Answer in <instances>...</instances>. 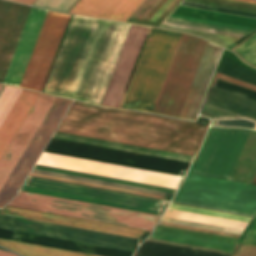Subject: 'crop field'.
Instances as JSON below:
<instances>
[{
    "label": "crop field",
    "mask_w": 256,
    "mask_h": 256,
    "mask_svg": "<svg viewBox=\"0 0 256 256\" xmlns=\"http://www.w3.org/2000/svg\"><path fill=\"white\" fill-rule=\"evenodd\" d=\"M129 28L73 18L44 91L100 103Z\"/></svg>",
    "instance_id": "crop-field-1"
},
{
    "label": "crop field",
    "mask_w": 256,
    "mask_h": 256,
    "mask_svg": "<svg viewBox=\"0 0 256 256\" xmlns=\"http://www.w3.org/2000/svg\"><path fill=\"white\" fill-rule=\"evenodd\" d=\"M22 191L161 215L167 203L158 200L28 177ZM7 205L151 231L158 215L22 192Z\"/></svg>",
    "instance_id": "crop-field-2"
},
{
    "label": "crop field",
    "mask_w": 256,
    "mask_h": 256,
    "mask_svg": "<svg viewBox=\"0 0 256 256\" xmlns=\"http://www.w3.org/2000/svg\"><path fill=\"white\" fill-rule=\"evenodd\" d=\"M57 131L194 156L206 127L73 103Z\"/></svg>",
    "instance_id": "crop-field-3"
},
{
    "label": "crop field",
    "mask_w": 256,
    "mask_h": 256,
    "mask_svg": "<svg viewBox=\"0 0 256 256\" xmlns=\"http://www.w3.org/2000/svg\"><path fill=\"white\" fill-rule=\"evenodd\" d=\"M47 12L31 9L3 83L20 86ZM70 16L48 12L20 87L42 91Z\"/></svg>",
    "instance_id": "crop-field-4"
},
{
    "label": "crop field",
    "mask_w": 256,
    "mask_h": 256,
    "mask_svg": "<svg viewBox=\"0 0 256 256\" xmlns=\"http://www.w3.org/2000/svg\"><path fill=\"white\" fill-rule=\"evenodd\" d=\"M251 130L210 128L189 174L227 180ZM256 175V132L251 131L228 180L251 184Z\"/></svg>",
    "instance_id": "crop-field-5"
},
{
    "label": "crop field",
    "mask_w": 256,
    "mask_h": 256,
    "mask_svg": "<svg viewBox=\"0 0 256 256\" xmlns=\"http://www.w3.org/2000/svg\"><path fill=\"white\" fill-rule=\"evenodd\" d=\"M181 34L151 29L121 108L152 112Z\"/></svg>",
    "instance_id": "crop-field-6"
},
{
    "label": "crop field",
    "mask_w": 256,
    "mask_h": 256,
    "mask_svg": "<svg viewBox=\"0 0 256 256\" xmlns=\"http://www.w3.org/2000/svg\"><path fill=\"white\" fill-rule=\"evenodd\" d=\"M182 1L256 15V5H252V4H256V0H236V1H241V2L252 3V4L241 3V2L230 1V0H182ZM179 7L174 9L170 14L256 29V22H252L255 19L252 20V21H247L250 18L247 19V20H242L245 17L242 18V19H237L239 16L237 18H231L234 15L231 16V17H226L229 14L226 15V16H221L222 14L221 15H216L218 12L216 14H211L213 11L211 13H205L208 10L205 11V12H200L202 9L200 11H195L197 8L195 10H190L192 7L190 9H184L186 6L184 8H179ZM172 15H169V18L185 20V21H190V22H195V23H200V24H205V25H211V26H216V27H221V28H226V29H231V30H237V31H242V32H247V33H250V32L253 31L252 29L240 28V27H235V26L223 25V24H218V23L206 22V21L189 19V18L172 16ZM169 18H166L165 21L166 22L177 23V24H182V25H188V26H193V27L209 29V30H215V31H220V32H226V33H231V34H236V35H242V36L247 35V33L231 31V30H226V29H221V28H216V27H211V26H205V25H200V24H195V23H190V22H185V21H179V20H174V19H169ZM166 22L161 23V25L162 26L179 28V29L191 30V31H196V32H202V33H207V34L219 35V36H224V37L236 38V39L242 38V36H236V35L220 33V32H215V31H209V30L193 28V27H188V26H182V25L166 23ZM162 26H159V27L160 28H165V29L185 31V30H179V29L162 27ZM191 31H185V32H190V33H193L195 35L206 38V39H208V40H210V41H212V42H214V43H216V44H218V45H220L224 48L228 47L229 45H231L232 43L237 41L236 39H230V38H224V37H219V36L207 35V34H202V33L191 32Z\"/></svg>",
    "instance_id": "crop-field-7"
},
{
    "label": "crop field",
    "mask_w": 256,
    "mask_h": 256,
    "mask_svg": "<svg viewBox=\"0 0 256 256\" xmlns=\"http://www.w3.org/2000/svg\"><path fill=\"white\" fill-rule=\"evenodd\" d=\"M173 201L254 215L256 186L186 175Z\"/></svg>",
    "instance_id": "crop-field-8"
},
{
    "label": "crop field",
    "mask_w": 256,
    "mask_h": 256,
    "mask_svg": "<svg viewBox=\"0 0 256 256\" xmlns=\"http://www.w3.org/2000/svg\"><path fill=\"white\" fill-rule=\"evenodd\" d=\"M206 43L182 34L152 113L178 117Z\"/></svg>",
    "instance_id": "crop-field-9"
},
{
    "label": "crop field",
    "mask_w": 256,
    "mask_h": 256,
    "mask_svg": "<svg viewBox=\"0 0 256 256\" xmlns=\"http://www.w3.org/2000/svg\"><path fill=\"white\" fill-rule=\"evenodd\" d=\"M0 229L133 252L138 241L0 215Z\"/></svg>",
    "instance_id": "crop-field-10"
},
{
    "label": "crop field",
    "mask_w": 256,
    "mask_h": 256,
    "mask_svg": "<svg viewBox=\"0 0 256 256\" xmlns=\"http://www.w3.org/2000/svg\"><path fill=\"white\" fill-rule=\"evenodd\" d=\"M37 164L173 189H176L178 183L181 180L180 177L168 176L45 153L41 155Z\"/></svg>",
    "instance_id": "crop-field-11"
},
{
    "label": "crop field",
    "mask_w": 256,
    "mask_h": 256,
    "mask_svg": "<svg viewBox=\"0 0 256 256\" xmlns=\"http://www.w3.org/2000/svg\"><path fill=\"white\" fill-rule=\"evenodd\" d=\"M72 101L57 98L39 130L0 192V208L18 192L45 144L54 132Z\"/></svg>",
    "instance_id": "crop-field-12"
},
{
    "label": "crop field",
    "mask_w": 256,
    "mask_h": 256,
    "mask_svg": "<svg viewBox=\"0 0 256 256\" xmlns=\"http://www.w3.org/2000/svg\"><path fill=\"white\" fill-rule=\"evenodd\" d=\"M158 225L179 228V229L192 230V231H198V232H204V233H210V234L229 236V237H235V238L240 237L238 235L214 232V231H209V230L191 228V227L162 223V222H160ZM161 226H157L155 231L152 233V236L149 238L170 241V242H176V243H182V244H188V245L199 246V247H205V248H211V249H217V250H223V251H229V252L232 251L233 247H235V245L238 241V239H235V238L210 235V234H204V233H198V232H192V231H186V230H179V229H173V228H167V227H161ZM152 239H147V240L230 255L229 252L193 247V246H188V245H182V244H176V243H170V242H164V241H158V240H152Z\"/></svg>",
    "instance_id": "crop-field-13"
},
{
    "label": "crop field",
    "mask_w": 256,
    "mask_h": 256,
    "mask_svg": "<svg viewBox=\"0 0 256 256\" xmlns=\"http://www.w3.org/2000/svg\"><path fill=\"white\" fill-rule=\"evenodd\" d=\"M149 28L132 25L101 106L118 108Z\"/></svg>",
    "instance_id": "crop-field-14"
},
{
    "label": "crop field",
    "mask_w": 256,
    "mask_h": 256,
    "mask_svg": "<svg viewBox=\"0 0 256 256\" xmlns=\"http://www.w3.org/2000/svg\"><path fill=\"white\" fill-rule=\"evenodd\" d=\"M56 98L40 94L16 136L0 160V190L38 130Z\"/></svg>",
    "instance_id": "crop-field-15"
},
{
    "label": "crop field",
    "mask_w": 256,
    "mask_h": 256,
    "mask_svg": "<svg viewBox=\"0 0 256 256\" xmlns=\"http://www.w3.org/2000/svg\"><path fill=\"white\" fill-rule=\"evenodd\" d=\"M171 204L179 205V206H185V207L198 208V209L211 210V211H217V212L230 213V214H237V213H232V212L220 211V210H215V209H209V208L186 205V204H180V203H174V202H171ZM173 205H169L168 209L169 210H175V211H181V212H187V213H193V214H199V215H205V216H210V217H216V218L246 222V223H249V221L251 220V218H249V217H252V216L243 215V214H237V215H243V216H249V217L230 215V214H224V213H217V212L198 210V209H192V208H185V207H179V206H173ZM169 210H166V212L164 214L165 217L189 220V221H194V222L212 224V225L235 228V229H241V230H244V228L247 225L246 223H240V222L210 218V217H205V216H199V215H193V214H187V213H181V212H175V211H169ZM165 217H162V219H161L162 222L186 225V226H191V227L209 229V230L232 233V234H238V235H241V233H242L241 230L217 227V226H212V225L194 223V222L171 219V218H165Z\"/></svg>",
    "instance_id": "crop-field-16"
},
{
    "label": "crop field",
    "mask_w": 256,
    "mask_h": 256,
    "mask_svg": "<svg viewBox=\"0 0 256 256\" xmlns=\"http://www.w3.org/2000/svg\"><path fill=\"white\" fill-rule=\"evenodd\" d=\"M31 8L0 0V83Z\"/></svg>",
    "instance_id": "crop-field-17"
},
{
    "label": "crop field",
    "mask_w": 256,
    "mask_h": 256,
    "mask_svg": "<svg viewBox=\"0 0 256 256\" xmlns=\"http://www.w3.org/2000/svg\"><path fill=\"white\" fill-rule=\"evenodd\" d=\"M222 48L207 43L178 118L194 121Z\"/></svg>",
    "instance_id": "crop-field-18"
},
{
    "label": "crop field",
    "mask_w": 256,
    "mask_h": 256,
    "mask_svg": "<svg viewBox=\"0 0 256 256\" xmlns=\"http://www.w3.org/2000/svg\"><path fill=\"white\" fill-rule=\"evenodd\" d=\"M2 215L14 216L19 218H25L30 220L42 221L47 223H53L58 225L70 226L75 228H81L86 230L98 231L103 233H109L114 235L126 236L131 238H140V230L122 228L117 226L99 224L94 222L76 220L71 218L53 216L48 214L30 212L25 210L13 209L4 207L1 211Z\"/></svg>",
    "instance_id": "crop-field-19"
},
{
    "label": "crop field",
    "mask_w": 256,
    "mask_h": 256,
    "mask_svg": "<svg viewBox=\"0 0 256 256\" xmlns=\"http://www.w3.org/2000/svg\"><path fill=\"white\" fill-rule=\"evenodd\" d=\"M144 0H80L70 13L126 22Z\"/></svg>",
    "instance_id": "crop-field-20"
},
{
    "label": "crop field",
    "mask_w": 256,
    "mask_h": 256,
    "mask_svg": "<svg viewBox=\"0 0 256 256\" xmlns=\"http://www.w3.org/2000/svg\"><path fill=\"white\" fill-rule=\"evenodd\" d=\"M39 94L23 90L0 128V159L18 131Z\"/></svg>",
    "instance_id": "crop-field-21"
},
{
    "label": "crop field",
    "mask_w": 256,
    "mask_h": 256,
    "mask_svg": "<svg viewBox=\"0 0 256 256\" xmlns=\"http://www.w3.org/2000/svg\"><path fill=\"white\" fill-rule=\"evenodd\" d=\"M207 103L256 119V101L211 87Z\"/></svg>",
    "instance_id": "crop-field-22"
},
{
    "label": "crop field",
    "mask_w": 256,
    "mask_h": 256,
    "mask_svg": "<svg viewBox=\"0 0 256 256\" xmlns=\"http://www.w3.org/2000/svg\"><path fill=\"white\" fill-rule=\"evenodd\" d=\"M53 138L60 139V140H66V141H72V142H78V143H83V144L107 147V148H112V149L130 151V152H135V153L159 156V157H164V158L188 161V162H190L192 159L191 156H185V155L163 152V151H158V150H152V149H147V148H141V147H136V146L124 145V144H119V143H113V142L102 141V140L91 139V138H86V137L58 133V132H55Z\"/></svg>",
    "instance_id": "crop-field-23"
},
{
    "label": "crop field",
    "mask_w": 256,
    "mask_h": 256,
    "mask_svg": "<svg viewBox=\"0 0 256 256\" xmlns=\"http://www.w3.org/2000/svg\"><path fill=\"white\" fill-rule=\"evenodd\" d=\"M134 256H227L145 241Z\"/></svg>",
    "instance_id": "crop-field-24"
},
{
    "label": "crop field",
    "mask_w": 256,
    "mask_h": 256,
    "mask_svg": "<svg viewBox=\"0 0 256 256\" xmlns=\"http://www.w3.org/2000/svg\"><path fill=\"white\" fill-rule=\"evenodd\" d=\"M151 0H145L142 5L135 11V13L130 17L132 19H136L138 15L143 11V9L149 4ZM160 0H152L150 4L144 9V11L139 15L137 19L143 20L146 15L154 8V6L159 2ZM167 0H161L155 8L147 15V17L144 20H150L152 16L160 9V7L166 2ZM173 0H168L161 9L153 16V18L150 21H155L158 16L166 9V7L172 2ZM180 0H174L167 9L159 16V18L156 20L158 22H161L165 16L175 7V5ZM167 17V16H166ZM129 19L127 22L129 23H136V24H143V25H150V26H157L159 23L156 22H146V21H139V20H132Z\"/></svg>",
    "instance_id": "crop-field-25"
},
{
    "label": "crop field",
    "mask_w": 256,
    "mask_h": 256,
    "mask_svg": "<svg viewBox=\"0 0 256 256\" xmlns=\"http://www.w3.org/2000/svg\"><path fill=\"white\" fill-rule=\"evenodd\" d=\"M0 245L22 256H92L4 239H0Z\"/></svg>",
    "instance_id": "crop-field-26"
},
{
    "label": "crop field",
    "mask_w": 256,
    "mask_h": 256,
    "mask_svg": "<svg viewBox=\"0 0 256 256\" xmlns=\"http://www.w3.org/2000/svg\"><path fill=\"white\" fill-rule=\"evenodd\" d=\"M34 169L35 170H41V171H47V172H53V173H59V174H65V175H70V176L94 179V180H99V181H105V182L129 185V186H134V187H140V188L164 191V192H167V193H170V194H173L174 191H175L173 189L161 188V187H156V186H150V185H145V184L133 183V182H128V181H122V180H117V179L105 178V177H100V176H94V175H89V174L77 173V172L66 171V170L55 169V168H49V167L38 166V165H35Z\"/></svg>",
    "instance_id": "crop-field-27"
},
{
    "label": "crop field",
    "mask_w": 256,
    "mask_h": 256,
    "mask_svg": "<svg viewBox=\"0 0 256 256\" xmlns=\"http://www.w3.org/2000/svg\"><path fill=\"white\" fill-rule=\"evenodd\" d=\"M22 90L6 86L0 95V126L7 117Z\"/></svg>",
    "instance_id": "crop-field-28"
},
{
    "label": "crop field",
    "mask_w": 256,
    "mask_h": 256,
    "mask_svg": "<svg viewBox=\"0 0 256 256\" xmlns=\"http://www.w3.org/2000/svg\"><path fill=\"white\" fill-rule=\"evenodd\" d=\"M233 50L248 63L256 66V33L236 46Z\"/></svg>",
    "instance_id": "crop-field-29"
},
{
    "label": "crop field",
    "mask_w": 256,
    "mask_h": 256,
    "mask_svg": "<svg viewBox=\"0 0 256 256\" xmlns=\"http://www.w3.org/2000/svg\"><path fill=\"white\" fill-rule=\"evenodd\" d=\"M32 173H33V174H39V175H45V176L56 177V178L74 180V181H79V182L91 183V184H96V185L114 187V188H119V189L137 191V192H142V193L160 195V196H163V197H164V195H165L164 193H159V192L147 191V190H142V189H136V188H131V187L119 186V185H114V184H108V183H103V182L91 181V180H86V179H80V178L69 177V176H63V175L52 174V173L41 172V171H35V170H33Z\"/></svg>",
    "instance_id": "crop-field-30"
},
{
    "label": "crop field",
    "mask_w": 256,
    "mask_h": 256,
    "mask_svg": "<svg viewBox=\"0 0 256 256\" xmlns=\"http://www.w3.org/2000/svg\"><path fill=\"white\" fill-rule=\"evenodd\" d=\"M239 243L256 246V219L247 230L244 231Z\"/></svg>",
    "instance_id": "crop-field-31"
},
{
    "label": "crop field",
    "mask_w": 256,
    "mask_h": 256,
    "mask_svg": "<svg viewBox=\"0 0 256 256\" xmlns=\"http://www.w3.org/2000/svg\"><path fill=\"white\" fill-rule=\"evenodd\" d=\"M230 256H256V247L237 244Z\"/></svg>",
    "instance_id": "crop-field-32"
},
{
    "label": "crop field",
    "mask_w": 256,
    "mask_h": 256,
    "mask_svg": "<svg viewBox=\"0 0 256 256\" xmlns=\"http://www.w3.org/2000/svg\"><path fill=\"white\" fill-rule=\"evenodd\" d=\"M216 78L218 79H221V80H224V81H227L229 83H232V84H235V85H238V86H241V87H244V88H247L249 90H252V91H255L256 92V87L255 86H252L250 84H247V83H244V82H241V81H238V80H235V79H232V78H229L227 76H224V75H221V74H216L215 76V79H214V82L216 80ZM214 82L212 85H214Z\"/></svg>",
    "instance_id": "crop-field-33"
},
{
    "label": "crop field",
    "mask_w": 256,
    "mask_h": 256,
    "mask_svg": "<svg viewBox=\"0 0 256 256\" xmlns=\"http://www.w3.org/2000/svg\"><path fill=\"white\" fill-rule=\"evenodd\" d=\"M30 175L31 176H37V177H42V178H48V179H53V180L65 181V182H70V183H76V184H81V185H87V186H92V187H98V188H103V189H109V190H114V191H120V192H125V193H131V194H137V195H142V196H148V197H153V198L161 199V197H155V196L144 195V194H139V193L127 192V191H122V190H116V189L105 188V187H100V186H94V185H89V184H83V183H78V182H72V181H67V180L55 179V178L44 177V176H39V175H33V174H30Z\"/></svg>",
    "instance_id": "crop-field-34"
},
{
    "label": "crop field",
    "mask_w": 256,
    "mask_h": 256,
    "mask_svg": "<svg viewBox=\"0 0 256 256\" xmlns=\"http://www.w3.org/2000/svg\"><path fill=\"white\" fill-rule=\"evenodd\" d=\"M10 1L24 3V4H28V5H31L34 2V0H10Z\"/></svg>",
    "instance_id": "crop-field-35"
},
{
    "label": "crop field",
    "mask_w": 256,
    "mask_h": 256,
    "mask_svg": "<svg viewBox=\"0 0 256 256\" xmlns=\"http://www.w3.org/2000/svg\"><path fill=\"white\" fill-rule=\"evenodd\" d=\"M0 256H16V255L11 254V253H7V252H4V251L0 250Z\"/></svg>",
    "instance_id": "crop-field-36"
},
{
    "label": "crop field",
    "mask_w": 256,
    "mask_h": 256,
    "mask_svg": "<svg viewBox=\"0 0 256 256\" xmlns=\"http://www.w3.org/2000/svg\"><path fill=\"white\" fill-rule=\"evenodd\" d=\"M252 184L256 185V177H255V179H254V181H253V183H252Z\"/></svg>",
    "instance_id": "crop-field-37"
},
{
    "label": "crop field",
    "mask_w": 256,
    "mask_h": 256,
    "mask_svg": "<svg viewBox=\"0 0 256 256\" xmlns=\"http://www.w3.org/2000/svg\"><path fill=\"white\" fill-rule=\"evenodd\" d=\"M2 86L0 85V90H1Z\"/></svg>",
    "instance_id": "crop-field-38"
}]
</instances>
